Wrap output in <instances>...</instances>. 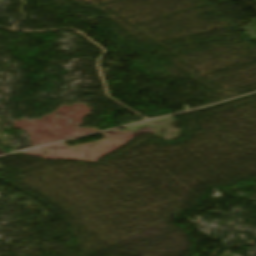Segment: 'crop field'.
Masks as SVG:
<instances>
[{
  "instance_id": "8a807250",
  "label": "crop field",
  "mask_w": 256,
  "mask_h": 256,
  "mask_svg": "<svg viewBox=\"0 0 256 256\" xmlns=\"http://www.w3.org/2000/svg\"><path fill=\"white\" fill-rule=\"evenodd\" d=\"M6 152L5 151H3L1 148H0V155L1 154H5Z\"/></svg>"
}]
</instances>
